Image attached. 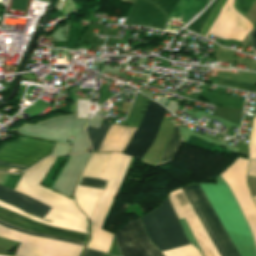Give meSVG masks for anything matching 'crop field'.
Listing matches in <instances>:
<instances>
[{
    "mask_svg": "<svg viewBox=\"0 0 256 256\" xmlns=\"http://www.w3.org/2000/svg\"><path fill=\"white\" fill-rule=\"evenodd\" d=\"M218 83L223 84V85H228V86H232V87L245 89V90L252 91V92H256V86H252V85H247V84H242V83L232 82V81H226V80H222V79H219Z\"/></svg>",
    "mask_w": 256,
    "mask_h": 256,
    "instance_id": "21",
    "label": "crop field"
},
{
    "mask_svg": "<svg viewBox=\"0 0 256 256\" xmlns=\"http://www.w3.org/2000/svg\"><path fill=\"white\" fill-rule=\"evenodd\" d=\"M255 35H256V25H255L254 29L251 32L253 48L256 49V39L253 38Z\"/></svg>",
    "mask_w": 256,
    "mask_h": 256,
    "instance_id": "25",
    "label": "crop field"
},
{
    "mask_svg": "<svg viewBox=\"0 0 256 256\" xmlns=\"http://www.w3.org/2000/svg\"><path fill=\"white\" fill-rule=\"evenodd\" d=\"M0 224L6 226V227H9V228H12V229H15V230H19V231H22V232H25V233H29V234H34V235H39V236H44V237H49V238H54V239H59V240H64V241H68V242H72V243H76V244H80V245H85L84 243H80V242H76V241H72V240H68V239H62V238H55V237H51V236H47V235H42V234H37V233H33V232H29V231H25V230H22V229H19V228H16V227H13V226H10L4 222H1L0 221Z\"/></svg>",
    "mask_w": 256,
    "mask_h": 256,
    "instance_id": "22",
    "label": "crop field"
},
{
    "mask_svg": "<svg viewBox=\"0 0 256 256\" xmlns=\"http://www.w3.org/2000/svg\"><path fill=\"white\" fill-rule=\"evenodd\" d=\"M0 165H1V166H6V167H11V168H16V169H21V170L27 169V167L12 165V164L3 163V162H0Z\"/></svg>",
    "mask_w": 256,
    "mask_h": 256,
    "instance_id": "24",
    "label": "crop field"
},
{
    "mask_svg": "<svg viewBox=\"0 0 256 256\" xmlns=\"http://www.w3.org/2000/svg\"><path fill=\"white\" fill-rule=\"evenodd\" d=\"M225 1L226 0H218L217 1V3L214 5L209 17L207 18L204 25L202 26V28L198 32L199 34H201L203 36L205 35L206 31L209 29L210 25L214 21L215 17L217 16L219 10L221 9V7H222V5L224 4Z\"/></svg>",
    "mask_w": 256,
    "mask_h": 256,
    "instance_id": "16",
    "label": "crop field"
},
{
    "mask_svg": "<svg viewBox=\"0 0 256 256\" xmlns=\"http://www.w3.org/2000/svg\"><path fill=\"white\" fill-rule=\"evenodd\" d=\"M150 1L157 4L168 17L177 0H150Z\"/></svg>",
    "mask_w": 256,
    "mask_h": 256,
    "instance_id": "19",
    "label": "crop field"
},
{
    "mask_svg": "<svg viewBox=\"0 0 256 256\" xmlns=\"http://www.w3.org/2000/svg\"><path fill=\"white\" fill-rule=\"evenodd\" d=\"M0 201L17 207L23 211L41 218L49 211L50 207L28 198L14 190L0 186Z\"/></svg>",
    "mask_w": 256,
    "mask_h": 256,
    "instance_id": "11",
    "label": "crop field"
},
{
    "mask_svg": "<svg viewBox=\"0 0 256 256\" xmlns=\"http://www.w3.org/2000/svg\"><path fill=\"white\" fill-rule=\"evenodd\" d=\"M217 0L214 1V3L204 12L202 13L192 24H190L186 29H189L195 33L198 32V30L201 28L202 24L206 20L207 16L209 15L213 5L215 4Z\"/></svg>",
    "mask_w": 256,
    "mask_h": 256,
    "instance_id": "17",
    "label": "crop field"
},
{
    "mask_svg": "<svg viewBox=\"0 0 256 256\" xmlns=\"http://www.w3.org/2000/svg\"><path fill=\"white\" fill-rule=\"evenodd\" d=\"M255 112H256V110H255Z\"/></svg>",
    "mask_w": 256,
    "mask_h": 256,
    "instance_id": "27",
    "label": "crop field"
},
{
    "mask_svg": "<svg viewBox=\"0 0 256 256\" xmlns=\"http://www.w3.org/2000/svg\"><path fill=\"white\" fill-rule=\"evenodd\" d=\"M55 159L56 157L45 158L40 163L25 170L14 187V190L52 207L44 217V219L51 221V223L2 202H0V207L49 226L88 234L87 218L77 208L74 200L39 185L49 172Z\"/></svg>",
    "mask_w": 256,
    "mask_h": 256,
    "instance_id": "2",
    "label": "crop field"
},
{
    "mask_svg": "<svg viewBox=\"0 0 256 256\" xmlns=\"http://www.w3.org/2000/svg\"><path fill=\"white\" fill-rule=\"evenodd\" d=\"M140 218L149 238L160 251L190 244L167 197L157 208Z\"/></svg>",
    "mask_w": 256,
    "mask_h": 256,
    "instance_id": "3",
    "label": "crop field"
},
{
    "mask_svg": "<svg viewBox=\"0 0 256 256\" xmlns=\"http://www.w3.org/2000/svg\"><path fill=\"white\" fill-rule=\"evenodd\" d=\"M110 153L93 154L81 176L100 178Z\"/></svg>",
    "mask_w": 256,
    "mask_h": 256,
    "instance_id": "14",
    "label": "crop field"
},
{
    "mask_svg": "<svg viewBox=\"0 0 256 256\" xmlns=\"http://www.w3.org/2000/svg\"><path fill=\"white\" fill-rule=\"evenodd\" d=\"M165 18L154 4L147 0H136L124 25H142L160 30Z\"/></svg>",
    "mask_w": 256,
    "mask_h": 256,
    "instance_id": "10",
    "label": "crop field"
},
{
    "mask_svg": "<svg viewBox=\"0 0 256 256\" xmlns=\"http://www.w3.org/2000/svg\"><path fill=\"white\" fill-rule=\"evenodd\" d=\"M110 125L102 123L100 128H87V136L91 142L92 149L98 151Z\"/></svg>",
    "mask_w": 256,
    "mask_h": 256,
    "instance_id": "15",
    "label": "crop field"
},
{
    "mask_svg": "<svg viewBox=\"0 0 256 256\" xmlns=\"http://www.w3.org/2000/svg\"><path fill=\"white\" fill-rule=\"evenodd\" d=\"M82 256H102V254L86 248Z\"/></svg>",
    "mask_w": 256,
    "mask_h": 256,
    "instance_id": "23",
    "label": "crop field"
},
{
    "mask_svg": "<svg viewBox=\"0 0 256 256\" xmlns=\"http://www.w3.org/2000/svg\"><path fill=\"white\" fill-rule=\"evenodd\" d=\"M106 183L107 181H104V180H97V179L86 178V177H81L78 182L79 185H85V186L101 188V189H104Z\"/></svg>",
    "mask_w": 256,
    "mask_h": 256,
    "instance_id": "18",
    "label": "crop field"
},
{
    "mask_svg": "<svg viewBox=\"0 0 256 256\" xmlns=\"http://www.w3.org/2000/svg\"><path fill=\"white\" fill-rule=\"evenodd\" d=\"M181 143H182V140L180 138L178 125L174 124V128H173L171 137L168 141V144H167L161 158L159 159L158 163L156 164L155 168L158 166H161L163 164L169 163L170 160L178 152Z\"/></svg>",
    "mask_w": 256,
    "mask_h": 256,
    "instance_id": "13",
    "label": "crop field"
},
{
    "mask_svg": "<svg viewBox=\"0 0 256 256\" xmlns=\"http://www.w3.org/2000/svg\"><path fill=\"white\" fill-rule=\"evenodd\" d=\"M114 235L123 256H162L147 238L139 218L127 222Z\"/></svg>",
    "mask_w": 256,
    "mask_h": 256,
    "instance_id": "6",
    "label": "crop field"
},
{
    "mask_svg": "<svg viewBox=\"0 0 256 256\" xmlns=\"http://www.w3.org/2000/svg\"><path fill=\"white\" fill-rule=\"evenodd\" d=\"M254 1L255 0H235L234 6L236 7L238 12L245 16Z\"/></svg>",
    "mask_w": 256,
    "mask_h": 256,
    "instance_id": "20",
    "label": "crop field"
},
{
    "mask_svg": "<svg viewBox=\"0 0 256 256\" xmlns=\"http://www.w3.org/2000/svg\"><path fill=\"white\" fill-rule=\"evenodd\" d=\"M233 0H227L219 15L213 22L209 34L221 39H235L242 41L246 32L252 27L251 23L238 14L232 6Z\"/></svg>",
    "mask_w": 256,
    "mask_h": 256,
    "instance_id": "7",
    "label": "crop field"
},
{
    "mask_svg": "<svg viewBox=\"0 0 256 256\" xmlns=\"http://www.w3.org/2000/svg\"><path fill=\"white\" fill-rule=\"evenodd\" d=\"M165 109L150 101L140 122L139 128L132 136L124 154L140 159L151 145L160 126ZM111 153L100 179L109 180L104 193L90 216L91 239L87 247L108 253L112 234L101 230L103 219L117 193L130 157Z\"/></svg>",
    "mask_w": 256,
    "mask_h": 256,
    "instance_id": "1",
    "label": "crop field"
},
{
    "mask_svg": "<svg viewBox=\"0 0 256 256\" xmlns=\"http://www.w3.org/2000/svg\"><path fill=\"white\" fill-rule=\"evenodd\" d=\"M54 144L19 137L0 149V161L31 167L40 159L50 155Z\"/></svg>",
    "mask_w": 256,
    "mask_h": 256,
    "instance_id": "5",
    "label": "crop field"
},
{
    "mask_svg": "<svg viewBox=\"0 0 256 256\" xmlns=\"http://www.w3.org/2000/svg\"><path fill=\"white\" fill-rule=\"evenodd\" d=\"M0 220L10 225L26 229L29 231L39 232L55 237L69 238L84 243H86L87 238L89 236L86 234L49 227L47 225L34 222L30 219L24 218L2 208H0Z\"/></svg>",
    "mask_w": 256,
    "mask_h": 256,
    "instance_id": "9",
    "label": "crop field"
},
{
    "mask_svg": "<svg viewBox=\"0 0 256 256\" xmlns=\"http://www.w3.org/2000/svg\"><path fill=\"white\" fill-rule=\"evenodd\" d=\"M221 256H239L199 185L182 188Z\"/></svg>",
    "mask_w": 256,
    "mask_h": 256,
    "instance_id": "4",
    "label": "crop field"
},
{
    "mask_svg": "<svg viewBox=\"0 0 256 256\" xmlns=\"http://www.w3.org/2000/svg\"><path fill=\"white\" fill-rule=\"evenodd\" d=\"M104 256H108V255H105V254H104Z\"/></svg>",
    "mask_w": 256,
    "mask_h": 256,
    "instance_id": "26",
    "label": "crop field"
},
{
    "mask_svg": "<svg viewBox=\"0 0 256 256\" xmlns=\"http://www.w3.org/2000/svg\"><path fill=\"white\" fill-rule=\"evenodd\" d=\"M172 207L178 219L184 218L188 227L190 228L193 236L199 244L204 256H211L208 249L212 252L213 256H220L208 237L206 231L198 220L196 214L188 203L182 190L171 192L168 196Z\"/></svg>",
    "mask_w": 256,
    "mask_h": 256,
    "instance_id": "8",
    "label": "crop field"
},
{
    "mask_svg": "<svg viewBox=\"0 0 256 256\" xmlns=\"http://www.w3.org/2000/svg\"><path fill=\"white\" fill-rule=\"evenodd\" d=\"M135 128L111 125L98 152H121Z\"/></svg>",
    "mask_w": 256,
    "mask_h": 256,
    "instance_id": "12",
    "label": "crop field"
}]
</instances>
